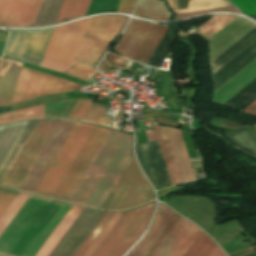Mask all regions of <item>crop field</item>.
<instances>
[{
    "label": "crop field",
    "mask_w": 256,
    "mask_h": 256,
    "mask_svg": "<svg viewBox=\"0 0 256 256\" xmlns=\"http://www.w3.org/2000/svg\"><path fill=\"white\" fill-rule=\"evenodd\" d=\"M150 26V23L132 19L122 37L115 45V51L119 55L131 59Z\"/></svg>",
    "instance_id": "obj_16"
},
{
    "label": "crop field",
    "mask_w": 256,
    "mask_h": 256,
    "mask_svg": "<svg viewBox=\"0 0 256 256\" xmlns=\"http://www.w3.org/2000/svg\"><path fill=\"white\" fill-rule=\"evenodd\" d=\"M230 140L239 146L247 148L256 154V144L249 135L246 127L224 133ZM236 144V145H237Z\"/></svg>",
    "instance_id": "obj_31"
},
{
    "label": "crop field",
    "mask_w": 256,
    "mask_h": 256,
    "mask_svg": "<svg viewBox=\"0 0 256 256\" xmlns=\"http://www.w3.org/2000/svg\"><path fill=\"white\" fill-rule=\"evenodd\" d=\"M26 123L27 121L0 127V166Z\"/></svg>",
    "instance_id": "obj_23"
},
{
    "label": "crop field",
    "mask_w": 256,
    "mask_h": 256,
    "mask_svg": "<svg viewBox=\"0 0 256 256\" xmlns=\"http://www.w3.org/2000/svg\"><path fill=\"white\" fill-rule=\"evenodd\" d=\"M105 113L106 110L91 104L81 120L106 125L109 119L103 118Z\"/></svg>",
    "instance_id": "obj_33"
},
{
    "label": "crop field",
    "mask_w": 256,
    "mask_h": 256,
    "mask_svg": "<svg viewBox=\"0 0 256 256\" xmlns=\"http://www.w3.org/2000/svg\"><path fill=\"white\" fill-rule=\"evenodd\" d=\"M37 123L38 121H28L27 125L0 168V183Z\"/></svg>",
    "instance_id": "obj_25"
},
{
    "label": "crop field",
    "mask_w": 256,
    "mask_h": 256,
    "mask_svg": "<svg viewBox=\"0 0 256 256\" xmlns=\"http://www.w3.org/2000/svg\"><path fill=\"white\" fill-rule=\"evenodd\" d=\"M175 212L163 204H159L158 211L152 225L143 239L127 254V256H143L170 218Z\"/></svg>",
    "instance_id": "obj_17"
},
{
    "label": "crop field",
    "mask_w": 256,
    "mask_h": 256,
    "mask_svg": "<svg viewBox=\"0 0 256 256\" xmlns=\"http://www.w3.org/2000/svg\"><path fill=\"white\" fill-rule=\"evenodd\" d=\"M153 198L154 194L134 158L103 208L121 210L151 201Z\"/></svg>",
    "instance_id": "obj_5"
},
{
    "label": "crop field",
    "mask_w": 256,
    "mask_h": 256,
    "mask_svg": "<svg viewBox=\"0 0 256 256\" xmlns=\"http://www.w3.org/2000/svg\"><path fill=\"white\" fill-rule=\"evenodd\" d=\"M215 246V242L204 232H201L184 256H209Z\"/></svg>",
    "instance_id": "obj_29"
},
{
    "label": "crop field",
    "mask_w": 256,
    "mask_h": 256,
    "mask_svg": "<svg viewBox=\"0 0 256 256\" xmlns=\"http://www.w3.org/2000/svg\"><path fill=\"white\" fill-rule=\"evenodd\" d=\"M91 102V100L87 99H77V101L73 105L72 109L70 110L66 118L80 120V118L87 110Z\"/></svg>",
    "instance_id": "obj_36"
},
{
    "label": "crop field",
    "mask_w": 256,
    "mask_h": 256,
    "mask_svg": "<svg viewBox=\"0 0 256 256\" xmlns=\"http://www.w3.org/2000/svg\"><path fill=\"white\" fill-rule=\"evenodd\" d=\"M245 15L256 14V0H230Z\"/></svg>",
    "instance_id": "obj_38"
},
{
    "label": "crop field",
    "mask_w": 256,
    "mask_h": 256,
    "mask_svg": "<svg viewBox=\"0 0 256 256\" xmlns=\"http://www.w3.org/2000/svg\"><path fill=\"white\" fill-rule=\"evenodd\" d=\"M133 15L151 20H169L172 16L165 4L158 0H139Z\"/></svg>",
    "instance_id": "obj_22"
},
{
    "label": "crop field",
    "mask_w": 256,
    "mask_h": 256,
    "mask_svg": "<svg viewBox=\"0 0 256 256\" xmlns=\"http://www.w3.org/2000/svg\"><path fill=\"white\" fill-rule=\"evenodd\" d=\"M114 213L115 212H107L106 213V215L103 217V219L97 225V227L94 229V231L88 237V239L84 242V244L81 246V248L75 254V256H82L84 254V252L88 249V247L91 245V243L97 237V235L101 232V230L104 228V226L107 224V222L110 220V218L113 216Z\"/></svg>",
    "instance_id": "obj_34"
},
{
    "label": "crop field",
    "mask_w": 256,
    "mask_h": 256,
    "mask_svg": "<svg viewBox=\"0 0 256 256\" xmlns=\"http://www.w3.org/2000/svg\"><path fill=\"white\" fill-rule=\"evenodd\" d=\"M154 203L126 211L93 256H122L144 232Z\"/></svg>",
    "instance_id": "obj_3"
},
{
    "label": "crop field",
    "mask_w": 256,
    "mask_h": 256,
    "mask_svg": "<svg viewBox=\"0 0 256 256\" xmlns=\"http://www.w3.org/2000/svg\"><path fill=\"white\" fill-rule=\"evenodd\" d=\"M64 74L81 78L87 81L91 76L97 74V72L95 71V68H91L83 65H77L71 68L70 70L64 72Z\"/></svg>",
    "instance_id": "obj_37"
},
{
    "label": "crop field",
    "mask_w": 256,
    "mask_h": 256,
    "mask_svg": "<svg viewBox=\"0 0 256 256\" xmlns=\"http://www.w3.org/2000/svg\"><path fill=\"white\" fill-rule=\"evenodd\" d=\"M210 256H226V255L221 251V249L218 246H216V248L213 250Z\"/></svg>",
    "instance_id": "obj_42"
},
{
    "label": "crop field",
    "mask_w": 256,
    "mask_h": 256,
    "mask_svg": "<svg viewBox=\"0 0 256 256\" xmlns=\"http://www.w3.org/2000/svg\"><path fill=\"white\" fill-rule=\"evenodd\" d=\"M222 0H190L187 9L173 10L176 14L228 7Z\"/></svg>",
    "instance_id": "obj_30"
},
{
    "label": "crop field",
    "mask_w": 256,
    "mask_h": 256,
    "mask_svg": "<svg viewBox=\"0 0 256 256\" xmlns=\"http://www.w3.org/2000/svg\"><path fill=\"white\" fill-rule=\"evenodd\" d=\"M256 127V126H255Z\"/></svg>",
    "instance_id": "obj_50"
},
{
    "label": "crop field",
    "mask_w": 256,
    "mask_h": 256,
    "mask_svg": "<svg viewBox=\"0 0 256 256\" xmlns=\"http://www.w3.org/2000/svg\"><path fill=\"white\" fill-rule=\"evenodd\" d=\"M91 0H63L56 22L84 16Z\"/></svg>",
    "instance_id": "obj_24"
},
{
    "label": "crop field",
    "mask_w": 256,
    "mask_h": 256,
    "mask_svg": "<svg viewBox=\"0 0 256 256\" xmlns=\"http://www.w3.org/2000/svg\"><path fill=\"white\" fill-rule=\"evenodd\" d=\"M135 2H136V0H121L116 12L130 14L132 8L134 7Z\"/></svg>",
    "instance_id": "obj_41"
},
{
    "label": "crop field",
    "mask_w": 256,
    "mask_h": 256,
    "mask_svg": "<svg viewBox=\"0 0 256 256\" xmlns=\"http://www.w3.org/2000/svg\"><path fill=\"white\" fill-rule=\"evenodd\" d=\"M168 2L170 4V6L172 7V9H179L176 0H168Z\"/></svg>",
    "instance_id": "obj_46"
},
{
    "label": "crop field",
    "mask_w": 256,
    "mask_h": 256,
    "mask_svg": "<svg viewBox=\"0 0 256 256\" xmlns=\"http://www.w3.org/2000/svg\"><path fill=\"white\" fill-rule=\"evenodd\" d=\"M94 127V124L76 122L33 193L52 197Z\"/></svg>",
    "instance_id": "obj_2"
},
{
    "label": "crop field",
    "mask_w": 256,
    "mask_h": 256,
    "mask_svg": "<svg viewBox=\"0 0 256 256\" xmlns=\"http://www.w3.org/2000/svg\"><path fill=\"white\" fill-rule=\"evenodd\" d=\"M28 118H45L44 104L0 114V125Z\"/></svg>",
    "instance_id": "obj_27"
},
{
    "label": "crop field",
    "mask_w": 256,
    "mask_h": 256,
    "mask_svg": "<svg viewBox=\"0 0 256 256\" xmlns=\"http://www.w3.org/2000/svg\"><path fill=\"white\" fill-rule=\"evenodd\" d=\"M81 85L22 67L10 105L51 93L79 90Z\"/></svg>",
    "instance_id": "obj_7"
},
{
    "label": "crop field",
    "mask_w": 256,
    "mask_h": 256,
    "mask_svg": "<svg viewBox=\"0 0 256 256\" xmlns=\"http://www.w3.org/2000/svg\"><path fill=\"white\" fill-rule=\"evenodd\" d=\"M104 59L107 60L110 65L120 67V68H123V66L126 62V59L121 58V57L111 54V53H108Z\"/></svg>",
    "instance_id": "obj_40"
},
{
    "label": "crop field",
    "mask_w": 256,
    "mask_h": 256,
    "mask_svg": "<svg viewBox=\"0 0 256 256\" xmlns=\"http://www.w3.org/2000/svg\"><path fill=\"white\" fill-rule=\"evenodd\" d=\"M22 63L7 59L0 61V106L10 104Z\"/></svg>",
    "instance_id": "obj_18"
},
{
    "label": "crop field",
    "mask_w": 256,
    "mask_h": 256,
    "mask_svg": "<svg viewBox=\"0 0 256 256\" xmlns=\"http://www.w3.org/2000/svg\"><path fill=\"white\" fill-rule=\"evenodd\" d=\"M18 192L0 188V216Z\"/></svg>",
    "instance_id": "obj_39"
},
{
    "label": "crop field",
    "mask_w": 256,
    "mask_h": 256,
    "mask_svg": "<svg viewBox=\"0 0 256 256\" xmlns=\"http://www.w3.org/2000/svg\"><path fill=\"white\" fill-rule=\"evenodd\" d=\"M256 57V41L214 74L216 89ZM256 59V58H255ZM245 68V67H244ZM234 77V76H233ZM223 86V85H222Z\"/></svg>",
    "instance_id": "obj_19"
},
{
    "label": "crop field",
    "mask_w": 256,
    "mask_h": 256,
    "mask_svg": "<svg viewBox=\"0 0 256 256\" xmlns=\"http://www.w3.org/2000/svg\"><path fill=\"white\" fill-rule=\"evenodd\" d=\"M159 145H160V149L165 161V165L169 174V178L171 181V185H177L180 184V178L177 172V168L174 162V158L171 152V148L168 142V138L165 132V128L164 127H159V126H155L153 124Z\"/></svg>",
    "instance_id": "obj_21"
},
{
    "label": "crop field",
    "mask_w": 256,
    "mask_h": 256,
    "mask_svg": "<svg viewBox=\"0 0 256 256\" xmlns=\"http://www.w3.org/2000/svg\"><path fill=\"white\" fill-rule=\"evenodd\" d=\"M136 154L154 186L169 182L157 141L137 144Z\"/></svg>",
    "instance_id": "obj_15"
},
{
    "label": "crop field",
    "mask_w": 256,
    "mask_h": 256,
    "mask_svg": "<svg viewBox=\"0 0 256 256\" xmlns=\"http://www.w3.org/2000/svg\"><path fill=\"white\" fill-rule=\"evenodd\" d=\"M200 231L180 217L152 256H183Z\"/></svg>",
    "instance_id": "obj_14"
},
{
    "label": "crop field",
    "mask_w": 256,
    "mask_h": 256,
    "mask_svg": "<svg viewBox=\"0 0 256 256\" xmlns=\"http://www.w3.org/2000/svg\"><path fill=\"white\" fill-rule=\"evenodd\" d=\"M43 0H0V26H33Z\"/></svg>",
    "instance_id": "obj_13"
},
{
    "label": "crop field",
    "mask_w": 256,
    "mask_h": 256,
    "mask_svg": "<svg viewBox=\"0 0 256 256\" xmlns=\"http://www.w3.org/2000/svg\"><path fill=\"white\" fill-rule=\"evenodd\" d=\"M106 212L84 208L49 256H74Z\"/></svg>",
    "instance_id": "obj_10"
},
{
    "label": "crop field",
    "mask_w": 256,
    "mask_h": 256,
    "mask_svg": "<svg viewBox=\"0 0 256 256\" xmlns=\"http://www.w3.org/2000/svg\"><path fill=\"white\" fill-rule=\"evenodd\" d=\"M145 133L148 141L157 140L153 131H146Z\"/></svg>",
    "instance_id": "obj_43"
},
{
    "label": "crop field",
    "mask_w": 256,
    "mask_h": 256,
    "mask_svg": "<svg viewBox=\"0 0 256 256\" xmlns=\"http://www.w3.org/2000/svg\"><path fill=\"white\" fill-rule=\"evenodd\" d=\"M256 39V28L211 63L213 73Z\"/></svg>",
    "instance_id": "obj_26"
},
{
    "label": "crop field",
    "mask_w": 256,
    "mask_h": 256,
    "mask_svg": "<svg viewBox=\"0 0 256 256\" xmlns=\"http://www.w3.org/2000/svg\"><path fill=\"white\" fill-rule=\"evenodd\" d=\"M178 214H174V216L171 218V220L168 222V224L165 226V228L162 230V232L159 234V236L156 238V240L153 242V244L150 246V248L147 250V252L144 254V256H151L153 252L156 250V248L159 246V244L162 242V240L165 238L167 233L170 231V229L173 227V225L176 223V221L179 219Z\"/></svg>",
    "instance_id": "obj_35"
},
{
    "label": "crop field",
    "mask_w": 256,
    "mask_h": 256,
    "mask_svg": "<svg viewBox=\"0 0 256 256\" xmlns=\"http://www.w3.org/2000/svg\"><path fill=\"white\" fill-rule=\"evenodd\" d=\"M124 212L125 211L116 212L114 214V216L111 218V220L108 222V224L105 226V228L98 235V237L95 239V241L92 243V245L89 247V249L85 252L83 256H92V254L101 244V242L105 239V237L108 235V233L111 231V229L114 227V225L117 223V221L120 219Z\"/></svg>",
    "instance_id": "obj_32"
},
{
    "label": "crop field",
    "mask_w": 256,
    "mask_h": 256,
    "mask_svg": "<svg viewBox=\"0 0 256 256\" xmlns=\"http://www.w3.org/2000/svg\"><path fill=\"white\" fill-rule=\"evenodd\" d=\"M253 114H256V111H255V112H253Z\"/></svg>",
    "instance_id": "obj_49"
},
{
    "label": "crop field",
    "mask_w": 256,
    "mask_h": 256,
    "mask_svg": "<svg viewBox=\"0 0 256 256\" xmlns=\"http://www.w3.org/2000/svg\"><path fill=\"white\" fill-rule=\"evenodd\" d=\"M235 18H237V16L234 15H214L209 21L199 28L203 37L208 40Z\"/></svg>",
    "instance_id": "obj_28"
},
{
    "label": "crop field",
    "mask_w": 256,
    "mask_h": 256,
    "mask_svg": "<svg viewBox=\"0 0 256 256\" xmlns=\"http://www.w3.org/2000/svg\"><path fill=\"white\" fill-rule=\"evenodd\" d=\"M111 129L96 126L53 197L68 201Z\"/></svg>",
    "instance_id": "obj_8"
},
{
    "label": "crop field",
    "mask_w": 256,
    "mask_h": 256,
    "mask_svg": "<svg viewBox=\"0 0 256 256\" xmlns=\"http://www.w3.org/2000/svg\"><path fill=\"white\" fill-rule=\"evenodd\" d=\"M74 124L75 122L73 121L60 120L48 142L20 185V190L32 192Z\"/></svg>",
    "instance_id": "obj_11"
},
{
    "label": "crop field",
    "mask_w": 256,
    "mask_h": 256,
    "mask_svg": "<svg viewBox=\"0 0 256 256\" xmlns=\"http://www.w3.org/2000/svg\"><path fill=\"white\" fill-rule=\"evenodd\" d=\"M249 17H251V18L256 20V15H252V16H249Z\"/></svg>",
    "instance_id": "obj_47"
},
{
    "label": "crop field",
    "mask_w": 256,
    "mask_h": 256,
    "mask_svg": "<svg viewBox=\"0 0 256 256\" xmlns=\"http://www.w3.org/2000/svg\"><path fill=\"white\" fill-rule=\"evenodd\" d=\"M133 157L131 134L112 129L69 201L102 208Z\"/></svg>",
    "instance_id": "obj_1"
},
{
    "label": "crop field",
    "mask_w": 256,
    "mask_h": 256,
    "mask_svg": "<svg viewBox=\"0 0 256 256\" xmlns=\"http://www.w3.org/2000/svg\"><path fill=\"white\" fill-rule=\"evenodd\" d=\"M29 194L19 192L3 215L0 217V233L12 219L18 209L22 206L25 200L28 198ZM83 210V207L73 205L36 256H48L61 237L65 234L80 212Z\"/></svg>",
    "instance_id": "obj_12"
},
{
    "label": "crop field",
    "mask_w": 256,
    "mask_h": 256,
    "mask_svg": "<svg viewBox=\"0 0 256 256\" xmlns=\"http://www.w3.org/2000/svg\"><path fill=\"white\" fill-rule=\"evenodd\" d=\"M166 29V25L152 24L131 60L146 64Z\"/></svg>",
    "instance_id": "obj_20"
},
{
    "label": "crop field",
    "mask_w": 256,
    "mask_h": 256,
    "mask_svg": "<svg viewBox=\"0 0 256 256\" xmlns=\"http://www.w3.org/2000/svg\"><path fill=\"white\" fill-rule=\"evenodd\" d=\"M127 17L101 15L92 18L82 43L71 65L78 63L94 65L109 44L121 31Z\"/></svg>",
    "instance_id": "obj_4"
},
{
    "label": "crop field",
    "mask_w": 256,
    "mask_h": 256,
    "mask_svg": "<svg viewBox=\"0 0 256 256\" xmlns=\"http://www.w3.org/2000/svg\"><path fill=\"white\" fill-rule=\"evenodd\" d=\"M255 110H256V101L252 105H250L246 110H244V112L252 113Z\"/></svg>",
    "instance_id": "obj_45"
},
{
    "label": "crop field",
    "mask_w": 256,
    "mask_h": 256,
    "mask_svg": "<svg viewBox=\"0 0 256 256\" xmlns=\"http://www.w3.org/2000/svg\"><path fill=\"white\" fill-rule=\"evenodd\" d=\"M109 68L110 66H108L105 60H103L102 64L99 67L101 72H106L107 70H109Z\"/></svg>",
    "instance_id": "obj_44"
},
{
    "label": "crop field",
    "mask_w": 256,
    "mask_h": 256,
    "mask_svg": "<svg viewBox=\"0 0 256 256\" xmlns=\"http://www.w3.org/2000/svg\"><path fill=\"white\" fill-rule=\"evenodd\" d=\"M58 122H59V120L39 121L38 128L36 126L37 130L35 128L34 129V131L36 130L35 133L33 131L34 135L32 133L31 136L32 135L33 136H32V138L30 136V138H31V139L29 138L30 141L28 139L29 143L27 141L26 142V144L28 143L27 146L25 144L26 148L30 149V147H31L32 143L34 142V140H35L37 135L42 136L41 139H40L39 136H37V138H36L35 142L33 143V145H32L30 150L24 149L25 148V146H24L22 151L18 155L17 159L15 160V162L32 166L33 162L35 161V159L37 158L38 154L40 153V151L42 150L43 146L45 145L46 141L48 140V138H46V137H50L51 133L53 132V130L56 127V125L58 124ZM45 138H46V140H45ZM38 140H39V142H38ZM43 141H44V143H43ZM37 142H38V144L36 145ZM42 143H43V145L41 146ZM35 145H36V147H35ZM40 146H41V148H40ZM33 148H34L35 151H38L39 148L40 149H39L38 152H35V151H32ZM11 168H10V170H11ZM29 169H30L29 166H25V165H21V164L15 163L14 167L12 168V170L11 171L9 170L10 171V173L8 172L9 175L8 176L6 175V176H7L8 179H12V180H16V181L22 182L23 178L25 177V175L27 174ZM5 178L2 181V183H1L2 186L18 189V187L20 185L19 182L7 180Z\"/></svg>",
    "instance_id": "obj_9"
},
{
    "label": "crop field",
    "mask_w": 256,
    "mask_h": 256,
    "mask_svg": "<svg viewBox=\"0 0 256 256\" xmlns=\"http://www.w3.org/2000/svg\"><path fill=\"white\" fill-rule=\"evenodd\" d=\"M54 28L12 30L3 56L39 66Z\"/></svg>",
    "instance_id": "obj_6"
},
{
    "label": "crop field",
    "mask_w": 256,
    "mask_h": 256,
    "mask_svg": "<svg viewBox=\"0 0 256 256\" xmlns=\"http://www.w3.org/2000/svg\"><path fill=\"white\" fill-rule=\"evenodd\" d=\"M0 32H4V33H7V34H8V32H5V31H0Z\"/></svg>",
    "instance_id": "obj_48"
}]
</instances>
